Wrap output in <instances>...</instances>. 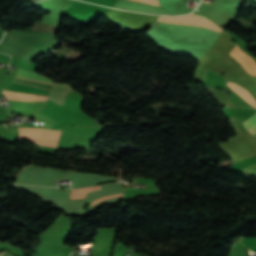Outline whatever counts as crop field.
<instances>
[{
    "label": "crop field",
    "mask_w": 256,
    "mask_h": 256,
    "mask_svg": "<svg viewBox=\"0 0 256 256\" xmlns=\"http://www.w3.org/2000/svg\"><path fill=\"white\" fill-rule=\"evenodd\" d=\"M120 195H123V194H117V195H112V196H108V197L98 198V199L93 201L92 206L96 205L98 202H100L103 199H107V198H111V197H115V196H120Z\"/></svg>",
    "instance_id": "crop-field-9"
},
{
    "label": "crop field",
    "mask_w": 256,
    "mask_h": 256,
    "mask_svg": "<svg viewBox=\"0 0 256 256\" xmlns=\"http://www.w3.org/2000/svg\"><path fill=\"white\" fill-rule=\"evenodd\" d=\"M230 54L239 61L242 66L252 75H256V63L253 59L246 56L240 48L236 45V47L230 52Z\"/></svg>",
    "instance_id": "crop-field-3"
},
{
    "label": "crop field",
    "mask_w": 256,
    "mask_h": 256,
    "mask_svg": "<svg viewBox=\"0 0 256 256\" xmlns=\"http://www.w3.org/2000/svg\"><path fill=\"white\" fill-rule=\"evenodd\" d=\"M70 92H72V89L68 85H57L50 93L49 99L63 105Z\"/></svg>",
    "instance_id": "crop-field-4"
},
{
    "label": "crop field",
    "mask_w": 256,
    "mask_h": 256,
    "mask_svg": "<svg viewBox=\"0 0 256 256\" xmlns=\"http://www.w3.org/2000/svg\"><path fill=\"white\" fill-rule=\"evenodd\" d=\"M139 1H143V2H149V3H152V4H156V5H159V2H158V0H139Z\"/></svg>",
    "instance_id": "crop-field-10"
},
{
    "label": "crop field",
    "mask_w": 256,
    "mask_h": 256,
    "mask_svg": "<svg viewBox=\"0 0 256 256\" xmlns=\"http://www.w3.org/2000/svg\"><path fill=\"white\" fill-rule=\"evenodd\" d=\"M16 75L50 82L49 80H47L44 77H41L40 75L36 74L35 72L20 69V68L18 69V72ZM3 92L8 99H14V100H19V101H40V100H46V98H47V97H39L40 95L39 96H30L28 94H21V93L7 92V91H3Z\"/></svg>",
    "instance_id": "crop-field-2"
},
{
    "label": "crop field",
    "mask_w": 256,
    "mask_h": 256,
    "mask_svg": "<svg viewBox=\"0 0 256 256\" xmlns=\"http://www.w3.org/2000/svg\"><path fill=\"white\" fill-rule=\"evenodd\" d=\"M158 21H164L171 24L194 25L199 27H205L218 33H220V31L222 30L213 22L197 15L194 16L192 14L177 17H160Z\"/></svg>",
    "instance_id": "crop-field-1"
},
{
    "label": "crop field",
    "mask_w": 256,
    "mask_h": 256,
    "mask_svg": "<svg viewBox=\"0 0 256 256\" xmlns=\"http://www.w3.org/2000/svg\"><path fill=\"white\" fill-rule=\"evenodd\" d=\"M104 188H105V186H99V187L71 190L69 199H84L87 192L102 190Z\"/></svg>",
    "instance_id": "crop-field-5"
},
{
    "label": "crop field",
    "mask_w": 256,
    "mask_h": 256,
    "mask_svg": "<svg viewBox=\"0 0 256 256\" xmlns=\"http://www.w3.org/2000/svg\"><path fill=\"white\" fill-rule=\"evenodd\" d=\"M57 28L58 27H55V26H49V25L35 23V26L32 31L55 34L57 31Z\"/></svg>",
    "instance_id": "crop-field-7"
},
{
    "label": "crop field",
    "mask_w": 256,
    "mask_h": 256,
    "mask_svg": "<svg viewBox=\"0 0 256 256\" xmlns=\"http://www.w3.org/2000/svg\"><path fill=\"white\" fill-rule=\"evenodd\" d=\"M256 123V113L253 114L252 117H250L248 120L242 122V124L244 125V127L247 129L250 126H252L253 124ZM252 135L256 134V124L253 125L252 127H250L249 129H247Z\"/></svg>",
    "instance_id": "crop-field-8"
},
{
    "label": "crop field",
    "mask_w": 256,
    "mask_h": 256,
    "mask_svg": "<svg viewBox=\"0 0 256 256\" xmlns=\"http://www.w3.org/2000/svg\"><path fill=\"white\" fill-rule=\"evenodd\" d=\"M226 84L231 89H233L238 95H240L242 98H244L247 102H249L251 105H253L256 108V102L252 99V97L249 95V93L245 89H243L231 82H228Z\"/></svg>",
    "instance_id": "crop-field-6"
}]
</instances>
